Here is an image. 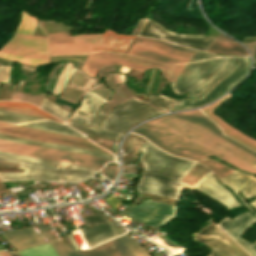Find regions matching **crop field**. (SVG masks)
I'll return each instance as SVG.
<instances>
[{
  "label": "crop field",
  "mask_w": 256,
  "mask_h": 256,
  "mask_svg": "<svg viewBox=\"0 0 256 256\" xmlns=\"http://www.w3.org/2000/svg\"><path fill=\"white\" fill-rule=\"evenodd\" d=\"M0 256H12V255L6 251H2L0 252Z\"/></svg>",
  "instance_id": "obj_48"
},
{
  "label": "crop field",
  "mask_w": 256,
  "mask_h": 256,
  "mask_svg": "<svg viewBox=\"0 0 256 256\" xmlns=\"http://www.w3.org/2000/svg\"><path fill=\"white\" fill-rule=\"evenodd\" d=\"M140 150L144 171H142L143 176L137 186L139 192L177 200L178 194L184 186L192 188L180 181L196 163L171 157L147 141ZM211 173L210 171L194 188L215 198L229 209L239 206L229 192L215 182Z\"/></svg>",
  "instance_id": "obj_2"
},
{
  "label": "crop field",
  "mask_w": 256,
  "mask_h": 256,
  "mask_svg": "<svg viewBox=\"0 0 256 256\" xmlns=\"http://www.w3.org/2000/svg\"><path fill=\"white\" fill-rule=\"evenodd\" d=\"M22 256H57L50 243L19 252Z\"/></svg>",
  "instance_id": "obj_27"
},
{
  "label": "crop field",
  "mask_w": 256,
  "mask_h": 256,
  "mask_svg": "<svg viewBox=\"0 0 256 256\" xmlns=\"http://www.w3.org/2000/svg\"><path fill=\"white\" fill-rule=\"evenodd\" d=\"M83 92H84L83 90H80L78 88L67 86L63 90L61 97L65 98L73 103H76L79 100V98L81 97V95L83 94Z\"/></svg>",
  "instance_id": "obj_33"
},
{
  "label": "crop field",
  "mask_w": 256,
  "mask_h": 256,
  "mask_svg": "<svg viewBox=\"0 0 256 256\" xmlns=\"http://www.w3.org/2000/svg\"><path fill=\"white\" fill-rule=\"evenodd\" d=\"M222 180L230 184L236 191V193L239 192L243 188V186L250 180V182L243 188L241 193L247 198L256 195V179L251 176L242 175L234 171L228 176L222 178ZM249 203L256 207V200L252 203Z\"/></svg>",
  "instance_id": "obj_23"
},
{
  "label": "crop field",
  "mask_w": 256,
  "mask_h": 256,
  "mask_svg": "<svg viewBox=\"0 0 256 256\" xmlns=\"http://www.w3.org/2000/svg\"><path fill=\"white\" fill-rule=\"evenodd\" d=\"M91 90L95 91L96 93H98L99 95L103 96L106 99H109V96H110V94L112 92V91H110L109 89H107L106 87H104L101 84H97Z\"/></svg>",
  "instance_id": "obj_39"
},
{
  "label": "crop field",
  "mask_w": 256,
  "mask_h": 256,
  "mask_svg": "<svg viewBox=\"0 0 256 256\" xmlns=\"http://www.w3.org/2000/svg\"><path fill=\"white\" fill-rule=\"evenodd\" d=\"M46 38L14 34L0 51L32 58L49 59L46 55Z\"/></svg>",
  "instance_id": "obj_14"
},
{
  "label": "crop field",
  "mask_w": 256,
  "mask_h": 256,
  "mask_svg": "<svg viewBox=\"0 0 256 256\" xmlns=\"http://www.w3.org/2000/svg\"><path fill=\"white\" fill-rule=\"evenodd\" d=\"M105 102V99L88 91L83 98L82 105L74 110L71 118L89 124L92 117L95 115L97 108ZM78 111H82L88 116H84ZM159 113L162 112L146 103L131 98L110 112L101 123L99 129L72 120H69L67 124L84 134L118 140L119 136L131 125ZM104 115L105 114L99 112L90 125L97 127Z\"/></svg>",
  "instance_id": "obj_4"
},
{
  "label": "crop field",
  "mask_w": 256,
  "mask_h": 256,
  "mask_svg": "<svg viewBox=\"0 0 256 256\" xmlns=\"http://www.w3.org/2000/svg\"><path fill=\"white\" fill-rule=\"evenodd\" d=\"M71 65L72 64L70 62H68V64L65 66V68L61 71V73L58 77V81H57L52 93L57 92L59 86L61 85V83L64 79V77L66 76L67 72L69 71ZM74 69L75 68H72L71 72L69 73L68 77L66 78V80L64 81V83L62 84V86L60 87V89L58 90L57 93H59L61 91V89L63 88V86L66 84L67 80L69 79V77H70L71 73L74 71ZM86 78H87V76L85 75L84 72L79 71V70L76 69L69 83L82 88ZM96 80L97 79L87 78L86 83H85L83 88L87 89V88L91 87L96 82Z\"/></svg>",
  "instance_id": "obj_25"
},
{
  "label": "crop field",
  "mask_w": 256,
  "mask_h": 256,
  "mask_svg": "<svg viewBox=\"0 0 256 256\" xmlns=\"http://www.w3.org/2000/svg\"><path fill=\"white\" fill-rule=\"evenodd\" d=\"M0 139L5 140V141H10V142H16V143H23V144H29V145H36V146H42V147H48V148H53V149H58V150H63V151H70V152H77L81 154H86V155H91V156H96V157H101V158H106L109 160H115L114 156L94 152V151H89V150H84L80 148H74V147H68V146H62V145H56V144H48V143H41V142H36L32 140H27L23 138H17V137H11L7 135L0 134ZM77 149V150H72Z\"/></svg>",
  "instance_id": "obj_24"
},
{
  "label": "crop field",
  "mask_w": 256,
  "mask_h": 256,
  "mask_svg": "<svg viewBox=\"0 0 256 256\" xmlns=\"http://www.w3.org/2000/svg\"><path fill=\"white\" fill-rule=\"evenodd\" d=\"M128 210L131 212H123L131 218L158 229L174 216L175 207L157 201L146 200Z\"/></svg>",
  "instance_id": "obj_10"
},
{
  "label": "crop field",
  "mask_w": 256,
  "mask_h": 256,
  "mask_svg": "<svg viewBox=\"0 0 256 256\" xmlns=\"http://www.w3.org/2000/svg\"><path fill=\"white\" fill-rule=\"evenodd\" d=\"M132 132L176 156L198 160L214 155L256 174V153L222 135L220 128L199 110L146 122Z\"/></svg>",
  "instance_id": "obj_1"
},
{
  "label": "crop field",
  "mask_w": 256,
  "mask_h": 256,
  "mask_svg": "<svg viewBox=\"0 0 256 256\" xmlns=\"http://www.w3.org/2000/svg\"><path fill=\"white\" fill-rule=\"evenodd\" d=\"M36 21L37 20L32 15L22 11L20 24L16 30V33H24V34L32 35L33 28Z\"/></svg>",
  "instance_id": "obj_28"
},
{
  "label": "crop field",
  "mask_w": 256,
  "mask_h": 256,
  "mask_svg": "<svg viewBox=\"0 0 256 256\" xmlns=\"http://www.w3.org/2000/svg\"><path fill=\"white\" fill-rule=\"evenodd\" d=\"M0 165L2 166H8V167H11L12 165H9V164H3V163H0Z\"/></svg>",
  "instance_id": "obj_51"
},
{
  "label": "crop field",
  "mask_w": 256,
  "mask_h": 256,
  "mask_svg": "<svg viewBox=\"0 0 256 256\" xmlns=\"http://www.w3.org/2000/svg\"><path fill=\"white\" fill-rule=\"evenodd\" d=\"M256 222V218L249 211L237 216L230 221L228 218H224L219 224L222 228L235 242H237L242 248H244L250 255L256 256V241L254 245H250L244 240L238 238L242 231Z\"/></svg>",
  "instance_id": "obj_16"
},
{
  "label": "crop field",
  "mask_w": 256,
  "mask_h": 256,
  "mask_svg": "<svg viewBox=\"0 0 256 256\" xmlns=\"http://www.w3.org/2000/svg\"><path fill=\"white\" fill-rule=\"evenodd\" d=\"M100 172L114 179L117 173V167L112 165H107Z\"/></svg>",
  "instance_id": "obj_41"
},
{
  "label": "crop field",
  "mask_w": 256,
  "mask_h": 256,
  "mask_svg": "<svg viewBox=\"0 0 256 256\" xmlns=\"http://www.w3.org/2000/svg\"><path fill=\"white\" fill-rule=\"evenodd\" d=\"M133 254L134 256H150L144 249L136 244L127 234L117 237Z\"/></svg>",
  "instance_id": "obj_32"
},
{
  "label": "crop field",
  "mask_w": 256,
  "mask_h": 256,
  "mask_svg": "<svg viewBox=\"0 0 256 256\" xmlns=\"http://www.w3.org/2000/svg\"><path fill=\"white\" fill-rule=\"evenodd\" d=\"M0 109L6 110V111H10V112H15V113H21V114H26V115H31V116H37V117H41V118H43V119H50V120H53V121H57V122L62 123L60 120L53 119V118H49V117H45V116H41V115H36V114H31V113H25V112H20V111L11 110V109H3V108H0Z\"/></svg>",
  "instance_id": "obj_46"
},
{
  "label": "crop field",
  "mask_w": 256,
  "mask_h": 256,
  "mask_svg": "<svg viewBox=\"0 0 256 256\" xmlns=\"http://www.w3.org/2000/svg\"><path fill=\"white\" fill-rule=\"evenodd\" d=\"M85 226L107 221L105 223L93 226L91 228L79 231L88 247L94 246L107 239L125 233L123 227L109 221L102 214L88 216L82 218Z\"/></svg>",
  "instance_id": "obj_13"
},
{
  "label": "crop field",
  "mask_w": 256,
  "mask_h": 256,
  "mask_svg": "<svg viewBox=\"0 0 256 256\" xmlns=\"http://www.w3.org/2000/svg\"><path fill=\"white\" fill-rule=\"evenodd\" d=\"M209 52L219 53V54H245L248 53L238 44L234 42H220L214 41L213 44L208 49Z\"/></svg>",
  "instance_id": "obj_26"
},
{
  "label": "crop field",
  "mask_w": 256,
  "mask_h": 256,
  "mask_svg": "<svg viewBox=\"0 0 256 256\" xmlns=\"http://www.w3.org/2000/svg\"><path fill=\"white\" fill-rule=\"evenodd\" d=\"M101 34H86L72 36L75 43L50 44V55L57 54H81L88 53L91 50Z\"/></svg>",
  "instance_id": "obj_18"
},
{
  "label": "crop field",
  "mask_w": 256,
  "mask_h": 256,
  "mask_svg": "<svg viewBox=\"0 0 256 256\" xmlns=\"http://www.w3.org/2000/svg\"><path fill=\"white\" fill-rule=\"evenodd\" d=\"M3 104L19 106V107H26V108H32V109H36V110H38L40 112L32 111V110H27V109H22V108H17V107L6 106V105H3ZM0 106L1 107L12 108V109L24 110V111H28V112H33V113H38V114H42V115L53 117V116H51V115H49V114L39 110L37 107H35V106L31 105V104H27V103H21V102H0Z\"/></svg>",
  "instance_id": "obj_36"
},
{
  "label": "crop field",
  "mask_w": 256,
  "mask_h": 256,
  "mask_svg": "<svg viewBox=\"0 0 256 256\" xmlns=\"http://www.w3.org/2000/svg\"><path fill=\"white\" fill-rule=\"evenodd\" d=\"M0 160L19 163L24 172L0 173L2 181L38 180L75 182L90 178L97 170L70 163L49 161L0 151Z\"/></svg>",
  "instance_id": "obj_5"
},
{
  "label": "crop field",
  "mask_w": 256,
  "mask_h": 256,
  "mask_svg": "<svg viewBox=\"0 0 256 256\" xmlns=\"http://www.w3.org/2000/svg\"><path fill=\"white\" fill-rule=\"evenodd\" d=\"M0 57L15 60V61H19V62H24V63H28V64H32V65H39V64H43V63L48 62V60L27 59V58H23V57H20V56H16V55L4 53V52H0Z\"/></svg>",
  "instance_id": "obj_35"
},
{
  "label": "crop field",
  "mask_w": 256,
  "mask_h": 256,
  "mask_svg": "<svg viewBox=\"0 0 256 256\" xmlns=\"http://www.w3.org/2000/svg\"><path fill=\"white\" fill-rule=\"evenodd\" d=\"M0 150L18 153L22 155L45 158L49 160L71 162L74 164L85 165L97 170H100L107 161L104 159H99V158L76 154V153L63 152V151L29 146V145L9 143L1 140H0Z\"/></svg>",
  "instance_id": "obj_6"
},
{
  "label": "crop field",
  "mask_w": 256,
  "mask_h": 256,
  "mask_svg": "<svg viewBox=\"0 0 256 256\" xmlns=\"http://www.w3.org/2000/svg\"><path fill=\"white\" fill-rule=\"evenodd\" d=\"M208 171L203 166L197 164L186 174L182 181L194 186Z\"/></svg>",
  "instance_id": "obj_29"
},
{
  "label": "crop field",
  "mask_w": 256,
  "mask_h": 256,
  "mask_svg": "<svg viewBox=\"0 0 256 256\" xmlns=\"http://www.w3.org/2000/svg\"><path fill=\"white\" fill-rule=\"evenodd\" d=\"M164 98H166L167 100L163 98L149 97L147 102L153 104L154 106L158 107L163 111H167L175 102L167 97Z\"/></svg>",
  "instance_id": "obj_37"
},
{
  "label": "crop field",
  "mask_w": 256,
  "mask_h": 256,
  "mask_svg": "<svg viewBox=\"0 0 256 256\" xmlns=\"http://www.w3.org/2000/svg\"><path fill=\"white\" fill-rule=\"evenodd\" d=\"M135 138V140L133 141L130 149L128 150L127 153L131 154V155H136L138 149L144 144V142L146 140H144L143 138H141L138 135H134V134H129L128 137L124 140L122 148L124 150V152L127 151L129 143Z\"/></svg>",
  "instance_id": "obj_31"
},
{
  "label": "crop field",
  "mask_w": 256,
  "mask_h": 256,
  "mask_svg": "<svg viewBox=\"0 0 256 256\" xmlns=\"http://www.w3.org/2000/svg\"><path fill=\"white\" fill-rule=\"evenodd\" d=\"M133 39V36H122L106 30L94 48L125 52Z\"/></svg>",
  "instance_id": "obj_22"
},
{
  "label": "crop field",
  "mask_w": 256,
  "mask_h": 256,
  "mask_svg": "<svg viewBox=\"0 0 256 256\" xmlns=\"http://www.w3.org/2000/svg\"><path fill=\"white\" fill-rule=\"evenodd\" d=\"M7 189L6 186L0 181V192Z\"/></svg>",
  "instance_id": "obj_49"
},
{
  "label": "crop field",
  "mask_w": 256,
  "mask_h": 256,
  "mask_svg": "<svg viewBox=\"0 0 256 256\" xmlns=\"http://www.w3.org/2000/svg\"><path fill=\"white\" fill-rule=\"evenodd\" d=\"M38 229L41 231V233L45 236V238L48 241L55 239L53 235L47 230L46 226H40L38 227Z\"/></svg>",
  "instance_id": "obj_47"
},
{
  "label": "crop field",
  "mask_w": 256,
  "mask_h": 256,
  "mask_svg": "<svg viewBox=\"0 0 256 256\" xmlns=\"http://www.w3.org/2000/svg\"><path fill=\"white\" fill-rule=\"evenodd\" d=\"M0 133L23 137L27 139L36 140V141L77 146V147H82V148H86V149H90L98 152L107 153L102 149L98 148L97 146L91 144L86 139L62 135V134H56L51 132H45L40 130H34V129L24 128L20 126L0 128Z\"/></svg>",
  "instance_id": "obj_9"
},
{
  "label": "crop field",
  "mask_w": 256,
  "mask_h": 256,
  "mask_svg": "<svg viewBox=\"0 0 256 256\" xmlns=\"http://www.w3.org/2000/svg\"><path fill=\"white\" fill-rule=\"evenodd\" d=\"M138 35L160 38L174 44H179L182 46L199 49L203 51L206 50L207 47L214 40V38L202 36L176 35L165 31L160 26H158L157 24L148 19H145Z\"/></svg>",
  "instance_id": "obj_11"
},
{
  "label": "crop field",
  "mask_w": 256,
  "mask_h": 256,
  "mask_svg": "<svg viewBox=\"0 0 256 256\" xmlns=\"http://www.w3.org/2000/svg\"><path fill=\"white\" fill-rule=\"evenodd\" d=\"M185 65V63L183 64H178L175 65L173 70L170 72V74L167 76V79L174 82V80L177 78V76L179 75V73L181 72L183 66Z\"/></svg>",
  "instance_id": "obj_40"
},
{
  "label": "crop field",
  "mask_w": 256,
  "mask_h": 256,
  "mask_svg": "<svg viewBox=\"0 0 256 256\" xmlns=\"http://www.w3.org/2000/svg\"><path fill=\"white\" fill-rule=\"evenodd\" d=\"M0 114H1L0 121L11 123V124H20V123H27V122L34 121V120H40L35 117L20 115V114L5 112V111H0ZM37 122L50 124V125H54V126L43 125V124H39V123H35V122H32L30 124H25L22 126H28V127L46 130V131L83 137L81 134L77 133L76 131H74L71 128H69L65 125H62V124L53 123V122H49V121H37ZM83 138H85V137H83Z\"/></svg>",
  "instance_id": "obj_17"
},
{
  "label": "crop field",
  "mask_w": 256,
  "mask_h": 256,
  "mask_svg": "<svg viewBox=\"0 0 256 256\" xmlns=\"http://www.w3.org/2000/svg\"><path fill=\"white\" fill-rule=\"evenodd\" d=\"M215 57L216 56H213V55L195 52L194 55L191 57V59L188 62L209 59V58H215Z\"/></svg>",
  "instance_id": "obj_42"
},
{
  "label": "crop field",
  "mask_w": 256,
  "mask_h": 256,
  "mask_svg": "<svg viewBox=\"0 0 256 256\" xmlns=\"http://www.w3.org/2000/svg\"><path fill=\"white\" fill-rule=\"evenodd\" d=\"M10 68L0 67V81H8Z\"/></svg>",
  "instance_id": "obj_45"
},
{
  "label": "crop field",
  "mask_w": 256,
  "mask_h": 256,
  "mask_svg": "<svg viewBox=\"0 0 256 256\" xmlns=\"http://www.w3.org/2000/svg\"><path fill=\"white\" fill-rule=\"evenodd\" d=\"M114 71V68H113V65H110V66H105L103 68H101L100 70V77H104V76H108L109 74H104V73H108V72H112ZM101 74H104V75H101ZM113 77H114V74H113ZM113 77L112 75L109 76L110 78V82H111V87H112V90L113 91H116L119 90L121 91L124 99H129L132 96V94L130 93V91L128 90V88L126 87L125 84H122L120 86H116V83H115V86H116V90H115V86H114V82H115V77H114V82H113ZM109 78L106 77L105 78V81H106V85L110 88V82H109ZM111 89V88H110ZM122 95L120 94V92H116V94L114 93L113 96L111 97V99L109 101H111L113 104H115L116 106L119 105L120 103H122L123 101H125L122 97ZM107 102L106 104H104L99 110L102 111L103 113H107L109 110H111L113 107H115L112 103L110 102Z\"/></svg>",
  "instance_id": "obj_21"
},
{
  "label": "crop field",
  "mask_w": 256,
  "mask_h": 256,
  "mask_svg": "<svg viewBox=\"0 0 256 256\" xmlns=\"http://www.w3.org/2000/svg\"><path fill=\"white\" fill-rule=\"evenodd\" d=\"M231 95H226L219 101L215 102L214 104L210 105L209 107L201 110L203 113H205L213 122H215L217 125H219L222 128V132L231 137L232 139L242 143L243 145L249 147L250 149L256 151V141L243 135L242 133L234 130L232 127L221 121L219 118H217L215 115H213L211 112L215 110L218 106H220L222 103L230 99Z\"/></svg>",
  "instance_id": "obj_19"
},
{
  "label": "crop field",
  "mask_w": 256,
  "mask_h": 256,
  "mask_svg": "<svg viewBox=\"0 0 256 256\" xmlns=\"http://www.w3.org/2000/svg\"><path fill=\"white\" fill-rule=\"evenodd\" d=\"M105 201L115 210H117L116 208L121 204V200L116 199L112 196H109L108 199H105Z\"/></svg>",
  "instance_id": "obj_43"
},
{
  "label": "crop field",
  "mask_w": 256,
  "mask_h": 256,
  "mask_svg": "<svg viewBox=\"0 0 256 256\" xmlns=\"http://www.w3.org/2000/svg\"><path fill=\"white\" fill-rule=\"evenodd\" d=\"M200 163H202L203 165L207 166L208 168H210L213 172H215L220 178L228 175L229 173H231L233 170L227 169L213 161L210 160H204L201 161Z\"/></svg>",
  "instance_id": "obj_34"
},
{
  "label": "crop field",
  "mask_w": 256,
  "mask_h": 256,
  "mask_svg": "<svg viewBox=\"0 0 256 256\" xmlns=\"http://www.w3.org/2000/svg\"><path fill=\"white\" fill-rule=\"evenodd\" d=\"M50 43L73 42L69 31L49 34Z\"/></svg>",
  "instance_id": "obj_38"
},
{
  "label": "crop field",
  "mask_w": 256,
  "mask_h": 256,
  "mask_svg": "<svg viewBox=\"0 0 256 256\" xmlns=\"http://www.w3.org/2000/svg\"><path fill=\"white\" fill-rule=\"evenodd\" d=\"M2 235L15 250L43 242L32 227L22 230L7 231L2 233Z\"/></svg>",
  "instance_id": "obj_20"
},
{
  "label": "crop field",
  "mask_w": 256,
  "mask_h": 256,
  "mask_svg": "<svg viewBox=\"0 0 256 256\" xmlns=\"http://www.w3.org/2000/svg\"><path fill=\"white\" fill-rule=\"evenodd\" d=\"M193 53H194V51H191L189 49H185V51L183 52V54L181 55V57L179 58L177 63L188 61L189 58L193 55Z\"/></svg>",
  "instance_id": "obj_44"
},
{
  "label": "crop field",
  "mask_w": 256,
  "mask_h": 256,
  "mask_svg": "<svg viewBox=\"0 0 256 256\" xmlns=\"http://www.w3.org/2000/svg\"><path fill=\"white\" fill-rule=\"evenodd\" d=\"M225 63L226 65L221 68ZM238 63L239 65L232 73H230L212 90H210L204 97H202L212 86H214L221 78L229 73ZM231 64L233 65L230 66ZM227 67L229 68L225 72H223ZM247 67L248 63L246 57H222L199 62L186 63L181 74L178 76L175 82L171 84L173 91L177 94H186L194 90L195 88L202 85L208 78H210L221 68L207 83L205 82L206 84L195 89L188 95L190 97H194L198 95L201 91H203L215 77H217L222 72L223 73L219 77H217L214 82L201 95L191 100H177V104L171 110L196 107L217 98L244 75Z\"/></svg>",
  "instance_id": "obj_3"
},
{
  "label": "crop field",
  "mask_w": 256,
  "mask_h": 256,
  "mask_svg": "<svg viewBox=\"0 0 256 256\" xmlns=\"http://www.w3.org/2000/svg\"><path fill=\"white\" fill-rule=\"evenodd\" d=\"M195 238L213 248L206 256H248L215 223L205 227Z\"/></svg>",
  "instance_id": "obj_12"
},
{
  "label": "crop field",
  "mask_w": 256,
  "mask_h": 256,
  "mask_svg": "<svg viewBox=\"0 0 256 256\" xmlns=\"http://www.w3.org/2000/svg\"><path fill=\"white\" fill-rule=\"evenodd\" d=\"M7 125H11V124H7V123H2V122H0V126H7Z\"/></svg>",
  "instance_id": "obj_50"
},
{
  "label": "crop field",
  "mask_w": 256,
  "mask_h": 256,
  "mask_svg": "<svg viewBox=\"0 0 256 256\" xmlns=\"http://www.w3.org/2000/svg\"><path fill=\"white\" fill-rule=\"evenodd\" d=\"M16 256H21L18 252L14 253Z\"/></svg>",
  "instance_id": "obj_52"
},
{
  "label": "crop field",
  "mask_w": 256,
  "mask_h": 256,
  "mask_svg": "<svg viewBox=\"0 0 256 256\" xmlns=\"http://www.w3.org/2000/svg\"><path fill=\"white\" fill-rule=\"evenodd\" d=\"M69 245L60 246L58 241L51 242L59 256H133V254L117 239L100 244L90 250H82L72 253L75 248L68 235L64 236Z\"/></svg>",
  "instance_id": "obj_15"
},
{
  "label": "crop field",
  "mask_w": 256,
  "mask_h": 256,
  "mask_svg": "<svg viewBox=\"0 0 256 256\" xmlns=\"http://www.w3.org/2000/svg\"><path fill=\"white\" fill-rule=\"evenodd\" d=\"M114 63H119L121 65L142 71L151 67H157L161 69L162 74L165 78L174 66L161 65L126 54L99 52L88 55L82 69L86 71L87 75L96 77L98 69L100 67Z\"/></svg>",
  "instance_id": "obj_7"
},
{
  "label": "crop field",
  "mask_w": 256,
  "mask_h": 256,
  "mask_svg": "<svg viewBox=\"0 0 256 256\" xmlns=\"http://www.w3.org/2000/svg\"><path fill=\"white\" fill-rule=\"evenodd\" d=\"M184 48L147 38L135 37L127 54L151 59L163 64L176 63Z\"/></svg>",
  "instance_id": "obj_8"
},
{
  "label": "crop field",
  "mask_w": 256,
  "mask_h": 256,
  "mask_svg": "<svg viewBox=\"0 0 256 256\" xmlns=\"http://www.w3.org/2000/svg\"><path fill=\"white\" fill-rule=\"evenodd\" d=\"M42 109L50 112L51 114H53L54 116H56L57 118L63 120L65 122V120L67 119L68 115H69V111L47 101V100H43L41 106Z\"/></svg>",
  "instance_id": "obj_30"
}]
</instances>
